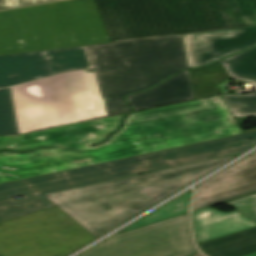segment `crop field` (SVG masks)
Instances as JSON below:
<instances>
[{
  "label": "crop field",
  "mask_w": 256,
  "mask_h": 256,
  "mask_svg": "<svg viewBox=\"0 0 256 256\" xmlns=\"http://www.w3.org/2000/svg\"><path fill=\"white\" fill-rule=\"evenodd\" d=\"M256 25V0H69L0 12V55Z\"/></svg>",
  "instance_id": "obj_1"
},
{
  "label": "crop field",
  "mask_w": 256,
  "mask_h": 256,
  "mask_svg": "<svg viewBox=\"0 0 256 256\" xmlns=\"http://www.w3.org/2000/svg\"><path fill=\"white\" fill-rule=\"evenodd\" d=\"M124 114L20 136L0 137V183L115 161L241 134L220 96L136 112L109 141Z\"/></svg>",
  "instance_id": "obj_2"
},
{
  "label": "crop field",
  "mask_w": 256,
  "mask_h": 256,
  "mask_svg": "<svg viewBox=\"0 0 256 256\" xmlns=\"http://www.w3.org/2000/svg\"><path fill=\"white\" fill-rule=\"evenodd\" d=\"M84 70L0 90V136L131 111L124 100L188 69L181 35L87 46Z\"/></svg>",
  "instance_id": "obj_3"
},
{
  "label": "crop field",
  "mask_w": 256,
  "mask_h": 256,
  "mask_svg": "<svg viewBox=\"0 0 256 256\" xmlns=\"http://www.w3.org/2000/svg\"><path fill=\"white\" fill-rule=\"evenodd\" d=\"M256 132L0 184V222L56 206L42 194L242 153ZM21 195L23 199L12 197Z\"/></svg>",
  "instance_id": "obj_4"
},
{
  "label": "crop field",
  "mask_w": 256,
  "mask_h": 256,
  "mask_svg": "<svg viewBox=\"0 0 256 256\" xmlns=\"http://www.w3.org/2000/svg\"><path fill=\"white\" fill-rule=\"evenodd\" d=\"M236 156L238 155L44 196L97 238Z\"/></svg>",
  "instance_id": "obj_5"
},
{
  "label": "crop field",
  "mask_w": 256,
  "mask_h": 256,
  "mask_svg": "<svg viewBox=\"0 0 256 256\" xmlns=\"http://www.w3.org/2000/svg\"><path fill=\"white\" fill-rule=\"evenodd\" d=\"M93 239L57 206L0 223L1 256H65Z\"/></svg>",
  "instance_id": "obj_6"
},
{
  "label": "crop field",
  "mask_w": 256,
  "mask_h": 256,
  "mask_svg": "<svg viewBox=\"0 0 256 256\" xmlns=\"http://www.w3.org/2000/svg\"><path fill=\"white\" fill-rule=\"evenodd\" d=\"M195 252L186 213L116 234L78 256H189Z\"/></svg>",
  "instance_id": "obj_7"
},
{
  "label": "crop field",
  "mask_w": 256,
  "mask_h": 256,
  "mask_svg": "<svg viewBox=\"0 0 256 256\" xmlns=\"http://www.w3.org/2000/svg\"><path fill=\"white\" fill-rule=\"evenodd\" d=\"M88 68L92 66L86 46L0 56V88Z\"/></svg>",
  "instance_id": "obj_8"
},
{
  "label": "crop field",
  "mask_w": 256,
  "mask_h": 256,
  "mask_svg": "<svg viewBox=\"0 0 256 256\" xmlns=\"http://www.w3.org/2000/svg\"><path fill=\"white\" fill-rule=\"evenodd\" d=\"M189 68L256 45V26L182 35Z\"/></svg>",
  "instance_id": "obj_9"
},
{
  "label": "crop field",
  "mask_w": 256,
  "mask_h": 256,
  "mask_svg": "<svg viewBox=\"0 0 256 256\" xmlns=\"http://www.w3.org/2000/svg\"><path fill=\"white\" fill-rule=\"evenodd\" d=\"M196 187L192 210L256 191V152Z\"/></svg>",
  "instance_id": "obj_10"
},
{
  "label": "crop field",
  "mask_w": 256,
  "mask_h": 256,
  "mask_svg": "<svg viewBox=\"0 0 256 256\" xmlns=\"http://www.w3.org/2000/svg\"><path fill=\"white\" fill-rule=\"evenodd\" d=\"M189 72L195 98L225 93L224 85L230 78L256 86V47Z\"/></svg>",
  "instance_id": "obj_11"
},
{
  "label": "crop field",
  "mask_w": 256,
  "mask_h": 256,
  "mask_svg": "<svg viewBox=\"0 0 256 256\" xmlns=\"http://www.w3.org/2000/svg\"><path fill=\"white\" fill-rule=\"evenodd\" d=\"M196 243H202L256 226V222L234 210L223 213L207 207L192 213Z\"/></svg>",
  "instance_id": "obj_12"
},
{
  "label": "crop field",
  "mask_w": 256,
  "mask_h": 256,
  "mask_svg": "<svg viewBox=\"0 0 256 256\" xmlns=\"http://www.w3.org/2000/svg\"><path fill=\"white\" fill-rule=\"evenodd\" d=\"M192 99L189 73L184 71L150 91L129 96L127 101L138 111Z\"/></svg>",
  "instance_id": "obj_13"
},
{
  "label": "crop field",
  "mask_w": 256,
  "mask_h": 256,
  "mask_svg": "<svg viewBox=\"0 0 256 256\" xmlns=\"http://www.w3.org/2000/svg\"><path fill=\"white\" fill-rule=\"evenodd\" d=\"M198 246L207 256H243L256 251V227Z\"/></svg>",
  "instance_id": "obj_14"
},
{
  "label": "crop field",
  "mask_w": 256,
  "mask_h": 256,
  "mask_svg": "<svg viewBox=\"0 0 256 256\" xmlns=\"http://www.w3.org/2000/svg\"><path fill=\"white\" fill-rule=\"evenodd\" d=\"M221 98L235 119L242 134L256 131V129L243 131L241 128L247 117L256 116V93L244 96L224 95Z\"/></svg>",
  "instance_id": "obj_15"
},
{
  "label": "crop field",
  "mask_w": 256,
  "mask_h": 256,
  "mask_svg": "<svg viewBox=\"0 0 256 256\" xmlns=\"http://www.w3.org/2000/svg\"><path fill=\"white\" fill-rule=\"evenodd\" d=\"M185 194V193H184ZM192 192L191 190L187 192L185 195L173 200L172 202L166 204L165 206L161 207L160 209L154 211L153 213L149 214L148 216L142 218L141 220L133 223L132 225L126 227L125 229L117 232H123L127 230H131L137 227H141L150 223H154L166 218H170L179 214H183L187 212L188 204L190 200Z\"/></svg>",
  "instance_id": "obj_16"
},
{
  "label": "crop field",
  "mask_w": 256,
  "mask_h": 256,
  "mask_svg": "<svg viewBox=\"0 0 256 256\" xmlns=\"http://www.w3.org/2000/svg\"><path fill=\"white\" fill-rule=\"evenodd\" d=\"M226 204L256 221V194Z\"/></svg>",
  "instance_id": "obj_17"
},
{
  "label": "crop field",
  "mask_w": 256,
  "mask_h": 256,
  "mask_svg": "<svg viewBox=\"0 0 256 256\" xmlns=\"http://www.w3.org/2000/svg\"><path fill=\"white\" fill-rule=\"evenodd\" d=\"M53 0H0V10Z\"/></svg>",
  "instance_id": "obj_18"
},
{
  "label": "crop field",
  "mask_w": 256,
  "mask_h": 256,
  "mask_svg": "<svg viewBox=\"0 0 256 256\" xmlns=\"http://www.w3.org/2000/svg\"><path fill=\"white\" fill-rule=\"evenodd\" d=\"M246 256H256V252L252 253V254H249V255H246Z\"/></svg>",
  "instance_id": "obj_19"
},
{
  "label": "crop field",
  "mask_w": 256,
  "mask_h": 256,
  "mask_svg": "<svg viewBox=\"0 0 256 256\" xmlns=\"http://www.w3.org/2000/svg\"><path fill=\"white\" fill-rule=\"evenodd\" d=\"M194 256H201V255L198 253V254H196V255H194Z\"/></svg>",
  "instance_id": "obj_20"
}]
</instances>
